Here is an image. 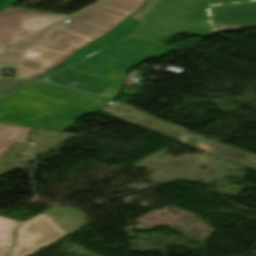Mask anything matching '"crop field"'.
<instances>
[{
	"label": "crop field",
	"mask_w": 256,
	"mask_h": 256,
	"mask_svg": "<svg viewBox=\"0 0 256 256\" xmlns=\"http://www.w3.org/2000/svg\"><path fill=\"white\" fill-rule=\"evenodd\" d=\"M143 2L144 0L98 2L99 4L67 18L70 22L55 24L9 47L0 55V64L16 66L15 77H38L79 48L105 34Z\"/></svg>",
	"instance_id": "obj_1"
},
{
	"label": "crop field",
	"mask_w": 256,
	"mask_h": 256,
	"mask_svg": "<svg viewBox=\"0 0 256 256\" xmlns=\"http://www.w3.org/2000/svg\"><path fill=\"white\" fill-rule=\"evenodd\" d=\"M219 1L248 0H158L132 36L161 44L180 33L204 37L211 32L208 7Z\"/></svg>",
	"instance_id": "obj_2"
},
{
	"label": "crop field",
	"mask_w": 256,
	"mask_h": 256,
	"mask_svg": "<svg viewBox=\"0 0 256 256\" xmlns=\"http://www.w3.org/2000/svg\"><path fill=\"white\" fill-rule=\"evenodd\" d=\"M63 17L65 15L14 8L0 11V52L9 44Z\"/></svg>",
	"instance_id": "obj_3"
},
{
	"label": "crop field",
	"mask_w": 256,
	"mask_h": 256,
	"mask_svg": "<svg viewBox=\"0 0 256 256\" xmlns=\"http://www.w3.org/2000/svg\"><path fill=\"white\" fill-rule=\"evenodd\" d=\"M65 235L49 216L39 215L20 226L9 256H28Z\"/></svg>",
	"instance_id": "obj_4"
},
{
	"label": "crop field",
	"mask_w": 256,
	"mask_h": 256,
	"mask_svg": "<svg viewBox=\"0 0 256 256\" xmlns=\"http://www.w3.org/2000/svg\"><path fill=\"white\" fill-rule=\"evenodd\" d=\"M213 31L256 25V1L210 8Z\"/></svg>",
	"instance_id": "obj_5"
},
{
	"label": "crop field",
	"mask_w": 256,
	"mask_h": 256,
	"mask_svg": "<svg viewBox=\"0 0 256 256\" xmlns=\"http://www.w3.org/2000/svg\"><path fill=\"white\" fill-rule=\"evenodd\" d=\"M140 21L138 20H131L127 19L122 24H120L118 27H116L113 31H111L106 36L98 39L97 41L89 44L87 47H85L82 51L79 53L73 55L71 58L63 62L61 65L56 67L55 69L51 70L50 72L46 73L45 75L37 78V80H41L53 73H56L104 48L107 46L127 37L130 36L135 28L138 26Z\"/></svg>",
	"instance_id": "obj_6"
},
{
	"label": "crop field",
	"mask_w": 256,
	"mask_h": 256,
	"mask_svg": "<svg viewBox=\"0 0 256 256\" xmlns=\"http://www.w3.org/2000/svg\"><path fill=\"white\" fill-rule=\"evenodd\" d=\"M33 129L0 124V155L15 141L23 142Z\"/></svg>",
	"instance_id": "obj_7"
},
{
	"label": "crop field",
	"mask_w": 256,
	"mask_h": 256,
	"mask_svg": "<svg viewBox=\"0 0 256 256\" xmlns=\"http://www.w3.org/2000/svg\"><path fill=\"white\" fill-rule=\"evenodd\" d=\"M17 221L0 218V245L12 246L11 232L15 228ZM9 249L0 248V256H5Z\"/></svg>",
	"instance_id": "obj_8"
},
{
	"label": "crop field",
	"mask_w": 256,
	"mask_h": 256,
	"mask_svg": "<svg viewBox=\"0 0 256 256\" xmlns=\"http://www.w3.org/2000/svg\"><path fill=\"white\" fill-rule=\"evenodd\" d=\"M155 2L156 0H147L145 2L144 7L140 9L138 12H136L134 15H132L130 18L143 20V18L146 16V14L148 13V11L151 9Z\"/></svg>",
	"instance_id": "obj_9"
},
{
	"label": "crop field",
	"mask_w": 256,
	"mask_h": 256,
	"mask_svg": "<svg viewBox=\"0 0 256 256\" xmlns=\"http://www.w3.org/2000/svg\"><path fill=\"white\" fill-rule=\"evenodd\" d=\"M24 80L26 79H0V91L11 89Z\"/></svg>",
	"instance_id": "obj_10"
},
{
	"label": "crop field",
	"mask_w": 256,
	"mask_h": 256,
	"mask_svg": "<svg viewBox=\"0 0 256 256\" xmlns=\"http://www.w3.org/2000/svg\"><path fill=\"white\" fill-rule=\"evenodd\" d=\"M19 0H0V10L16 3Z\"/></svg>",
	"instance_id": "obj_11"
},
{
	"label": "crop field",
	"mask_w": 256,
	"mask_h": 256,
	"mask_svg": "<svg viewBox=\"0 0 256 256\" xmlns=\"http://www.w3.org/2000/svg\"><path fill=\"white\" fill-rule=\"evenodd\" d=\"M34 82H37V81L31 80L30 82L25 83V84H23V85H21V86L15 88L14 90H12V91H10V92H8V93H6V94L0 95V99L3 98V97H5V96H7V95H9V94H11V93H13V92H15V91H17V90H19V89H21V88H23V87H25V86H27V85H29V84H31V83H34Z\"/></svg>",
	"instance_id": "obj_12"
}]
</instances>
